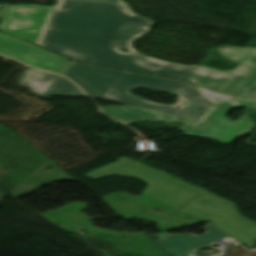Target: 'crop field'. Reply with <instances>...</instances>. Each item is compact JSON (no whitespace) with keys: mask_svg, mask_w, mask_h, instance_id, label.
<instances>
[{"mask_svg":"<svg viewBox=\"0 0 256 256\" xmlns=\"http://www.w3.org/2000/svg\"><path fill=\"white\" fill-rule=\"evenodd\" d=\"M113 175L141 179L150 186L143 191V194L177 209L201 191L197 187L125 157H121L116 162L100 167L85 176L98 179Z\"/></svg>","mask_w":256,"mask_h":256,"instance_id":"4","label":"crop field"},{"mask_svg":"<svg viewBox=\"0 0 256 256\" xmlns=\"http://www.w3.org/2000/svg\"><path fill=\"white\" fill-rule=\"evenodd\" d=\"M48 95L82 96L83 94L72 82L59 76L43 97L47 98Z\"/></svg>","mask_w":256,"mask_h":256,"instance_id":"12","label":"crop field"},{"mask_svg":"<svg viewBox=\"0 0 256 256\" xmlns=\"http://www.w3.org/2000/svg\"><path fill=\"white\" fill-rule=\"evenodd\" d=\"M53 7L9 5L0 30L40 45Z\"/></svg>","mask_w":256,"mask_h":256,"instance_id":"7","label":"crop field"},{"mask_svg":"<svg viewBox=\"0 0 256 256\" xmlns=\"http://www.w3.org/2000/svg\"><path fill=\"white\" fill-rule=\"evenodd\" d=\"M141 99H143V98H141ZM143 100H146V99H143ZM146 101L152 102V103H156V104H160V103L153 102V101H150V100H146ZM183 102H184V99H182L181 97H178L174 104L165 105V106H171V107H179V108H181ZM161 105H164V104H161Z\"/></svg>","mask_w":256,"mask_h":256,"instance_id":"14","label":"crop field"},{"mask_svg":"<svg viewBox=\"0 0 256 256\" xmlns=\"http://www.w3.org/2000/svg\"><path fill=\"white\" fill-rule=\"evenodd\" d=\"M153 25L124 0H57L42 45L78 62L185 80L196 66L149 58L133 49Z\"/></svg>","mask_w":256,"mask_h":256,"instance_id":"1","label":"crop field"},{"mask_svg":"<svg viewBox=\"0 0 256 256\" xmlns=\"http://www.w3.org/2000/svg\"><path fill=\"white\" fill-rule=\"evenodd\" d=\"M248 251L243 247L230 251L226 256H244Z\"/></svg>","mask_w":256,"mask_h":256,"instance_id":"13","label":"crop field"},{"mask_svg":"<svg viewBox=\"0 0 256 256\" xmlns=\"http://www.w3.org/2000/svg\"><path fill=\"white\" fill-rule=\"evenodd\" d=\"M191 85L195 87L212 104V106L196 122V124L213 129L224 130L235 137H239L247 132H250L252 128L256 125L245 116L240 117L236 121H232L225 116L232 109L231 106L256 109L255 100L223 95L212 91L204 90L193 84Z\"/></svg>","mask_w":256,"mask_h":256,"instance_id":"6","label":"crop field"},{"mask_svg":"<svg viewBox=\"0 0 256 256\" xmlns=\"http://www.w3.org/2000/svg\"><path fill=\"white\" fill-rule=\"evenodd\" d=\"M204 220L251 248L256 241V222L239 214L233 203L203 191L180 209Z\"/></svg>","mask_w":256,"mask_h":256,"instance_id":"5","label":"crop field"},{"mask_svg":"<svg viewBox=\"0 0 256 256\" xmlns=\"http://www.w3.org/2000/svg\"><path fill=\"white\" fill-rule=\"evenodd\" d=\"M247 256H256V250L251 251Z\"/></svg>","mask_w":256,"mask_h":256,"instance_id":"15","label":"crop field"},{"mask_svg":"<svg viewBox=\"0 0 256 256\" xmlns=\"http://www.w3.org/2000/svg\"><path fill=\"white\" fill-rule=\"evenodd\" d=\"M0 200H1V198H0Z\"/></svg>","mask_w":256,"mask_h":256,"instance_id":"16","label":"crop field"},{"mask_svg":"<svg viewBox=\"0 0 256 256\" xmlns=\"http://www.w3.org/2000/svg\"><path fill=\"white\" fill-rule=\"evenodd\" d=\"M0 54L14 58L30 66L59 73L64 70L69 59L43 50L37 46L26 43L0 32Z\"/></svg>","mask_w":256,"mask_h":256,"instance_id":"9","label":"crop field"},{"mask_svg":"<svg viewBox=\"0 0 256 256\" xmlns=\"http://www.w3.org/2000/svg\"><path fill=\"white\" fill-rule=\"evenodd\" d=\"M101 111L125 124L137 120H165L167 122L181 121L184 123V126L179 127V129H181L183 133L190 136L207 137L223 144L230 143L235 139V137L227 132L202 127L178 116L145 110L128 105L104 107L101 108Z\"/></svg>","mask_w":256,"mask_h":256,"instance_id":"8","label":"crop field"},{"mask_svg":"<svg viewBox=\"0 0 256 256\" xmlns=\"http://www.w3.org/2000/svg\"><path fill=\"white\" fill-rule=\"evenodd\" d=\"M61 75L69 78L89 96L178 115L193 123L211 106L186 81L72 62ZM137 87L179 95L185 102L181 109L148 103L128 93Z\"/></svg>","mask_w":256,"mask_h":256,"instance_id":"2","label":"crop field"},{"mask_svg":"<svg viewBox=\"0 0 256 256\" xmlns=\"http://www.w3.org/2000/svg\"><path fill=\"white\" fill-rule=\"evenodd\" d=\"M202 229L207 233L197 236H194V234L169 235L166 232L157 233L156 235L160 239L155 243L166 249L172 256H196L198 249L211 246L228 237L209 223Z\"/></svg>","mask_w":256,"mask_h":256,"instance_id":"10","label":"crop field"},{"mask_svg":"<svg viewBox=\"0 0 256 256\" xmlns=\"http://www.w3.org/2000/svg\"><path fill=\"white\" fill-rule=\"evenodd\" d=\"M58 75L29 68L17 82L37 96H43Z\"/></svg>","mask_w":256,"mask_h":256,"instance_id":"11","label":"crop field"},{"mask_svg":"<svg viewBox=\"0 0 256 256\" xmlns=\"http://www.w3.org/2000/svg\"><path fill=\"white\" fill-rule=\"evenodd\" d=\"M216 53L228 61L237 63L236 67L230 71H220L198 65L186 80L212 91L256 99V48L221 45ZM244 87L254 89L248 93L241 91Z\"/></svg>","mask_w":256,"mask_h":256,"instance_id":"3","label":"crop field"}]
</instances>
